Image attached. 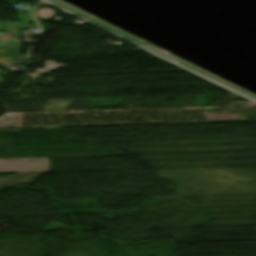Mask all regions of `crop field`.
Wrapping results in <instances>:
<instances>
[{
	"instance_id": "f4fd0767",
	"label": "crop field",
	"mask_w": 256,
	"mask_h": 256,
	"mask_svg": "<svg viewBox=\"0 0 256 256\" xmlns=\"http://www.w3.org/2000/svg\"><path fill=\"white\" fill-rule=\"evenodd\" d=\"M55 15L54 11L50 9H39L37 10V16L39 19L53 18Z\"/></svg>"
},
{
	"instance_id": "ac0d7876",
	"label": "crop field",
	"mask_w": 256,
	"mask_h": 256,
	"mask_svg": "<svg viewBox=\"0 0 256 256\" xmlns=\"http://www.w3.org/2000/svg\"><path fill=\"white\" fill-rule=\"evenodd\" d=\"M27 58V56L20 55V52L15 51H0V65L4 64H16Z\"/></svg>"
},
{
	"instance_id": "dd49c442",
	"label": "crop field",
	"mask_w": 256,
	"mask_h": 256,
	"mask_svg": "<svg viewBox=\"0 0 256 256\" xmlns=\"http://www.w3.org/2000/svg\"><path fill=\"white\" fill-rule=\"evenodd\" d=\"M0 32H1V22H0Z\"/></svg>"
},
{
	"instance_id": "34b2d1b8",
	"label": "crop field",
	"mask_w": 256,
	"mask_h": 256,
	"mask_svg": "<svg viewBox=\"0 0 256 256\" xmlns=\"http://www.w3.org/2000/svg\"><path fill=\"white\" fill-rule=\"evenodd\" d=\"M16 19L24 21V23H18V25H28V26H31V25H29L30 23H35L34 19L32 17V11H27L26 14H18L16 16ZM34 26H37V25L34 24Z\"/></svg>"
},
{
	"instance_id": "8a807250",
	"label": "crop field",
	"mask_w": 256,
	"mask_h": 256,
	"mask_svg": "<svg viewBox=\"0 0 256 256\" xmlns=\"http://www.w3.org/2000/svg\"><path fill=\"white\" fill-rule=\"evenodd\" d=\"M17 28L39 29L38 27L17 26V23L2 22V32H7V35L0 36V48L21 49L20 41L16 40V36L18 35Z\"/></svg>"
},
{
	"instance_id": "412701ff",
	"label": "crop field",
	"mask_w": 256,
	"mask_h": 256,
	"mask_svg": "<svg viewBox=\"0 0 256 256\" xmlns=\"http://www.w3.org/2000/svg\"><path fill=\"white\" fill-rule=\"evenodd\" d=\"M56 67H65L62 64H55L54 61L43 62V69H37L35 72L55 71Z\"/></svg>"
}]
</instances>
